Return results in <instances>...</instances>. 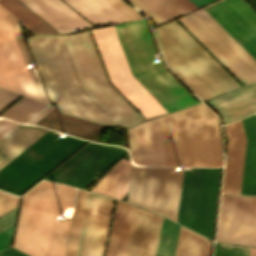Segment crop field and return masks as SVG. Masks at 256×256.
<instances>
[{
    "instance_id": "obj_37",
    "label": "crop field",
    "mask_w": 256,
    "mask_h": 256,
    "mask_svg": "<svg viewBox=\"0 0 256 256\" xmlns=\"http://www.w3.org/2000/svg\"><path fill=\"white\" fill-rule=\"evenodd\" d=\"M210 52H212L244 85L249 82L184 18L178 19Z\"/></svg>"
},
{
    "instance_id": "obj_31",
    "label": "crop field",
    "mask_w": 256,
    "mask_h": 256,
    "mask_svg": "<svg viewBox=\"0 0 256 256\" xmlns=\"http://www.w3.org/2000/svg\"><path fill=\"white\" fill-rule=\"evenodd\" d=\"M0 5L33 32L57 33L18 0H0Z\"/></svg>"
},
{
    "instance_id": "obj_50",
    "label": "crop field",
    "mask_w": 256,
    "mask_h": 256,
    "mask_svg": "<svg viewBox=\"0 0 256 256\" xmlns=\"http://www.w3.org/2000/svg\"><path fill=\"white\" fill-rule=\"evenodd\" d=\"M250 256H256V249L252 248Z\"/></svg>"
},
{
    "instance_id": "obj_8",
    "label": "crop field",
    "mask_w": 256,
    "mask_h": 256,
    "mask_svg": "<svg viewBox=\"0 0 256 256\" xmlns=\"http://www.w3.org/2000/svg\"><path fill=\"white\" fill-rule=\"evenodd\" d=\"M94 38L112 83L146 117L166 113L132 76L114 27L93 30Z\"/></svg>"
},
{
    "instance_id": "obj_44",
    "label": "crop field",
    "mask_w": 256,
    "mask_h": 256,
    "mask_svg": "<svg viewBox=\"0 0 256 256\" xmlns=\"http://www.w3.org/2000/svg\"><path fill=\"white\" fill-rule=\"evenodd\" d=\"M16 209L17 208L0 217V232L14 225Z\"/></svg>"
},
{
    "instance_id": "obj_34",
    "label": "crop field",
    "mask_w": 256,
    "mask_h": 256,
    "mask_svg": "<svg viewBox=\"0 0 256 256\" xmlns=\"http://www.w3.org/2000/svg\"><path fill=\"white\" fill-rule=\"evenodd\" d=\"M45 106L44 103L24 96L1 116L19 122H27Z\"/></svg>"
},
{
    "instance_id": "obj_2",
    "label": "crop field",
    "mask_w": 256,
    "mask_h": 256,
    "mask_svg": "<svg viewBox=\"0 0 256 256\" xmlns=\"http://www.w3.org/2000/svg\"><path fill=\"white\" fill-rule=\"evenodd\" d=\"M27 40L49 96L62 112L114 125L81 91L59 35L34 34Z\"/></svg>"
},
{
    "instance_id": "obj_38",
    "label": "crop field",
    "mask_w": 256,
    "mask_h": 256,
    "mask_svg": "<svg viewBox=\"0 0 256 256\" xmlns=\"http://www.w3.org/2000/svg\"><path fill=\"white\" fill-rule=\"evenodd\" d=\"M6 14H7V13H6ZM7 17H8V19H9V22H10V24H11V27H12V29H13V32H14V34H15V37H16V39H17V42H18V44H19V47H20V49H21V52H22V54H23V57H24V59H25V62H26V64H27V67H28V65H31V64H33V63H32V61H31V58H30V55H29L28 50H27V48H26L25 42H24L23 37H22V35H21V32H20V30H19L18 24H17L16 20L13 19L9 14H7ZM28 69H29V67H28ZM29 72H30V69H29ZM30 74H31V72H30ZM31 77H32V79H33V82H34V84H35V87H36V89H37V92H38V94H39L40 99H41L42 101L46 102V99H45V97H44V94H43V91H42V89H41V86H40V83H39V81H38V78H37L36 76H33V75H31ZM46 103H47V102H46Z\"/></svg>"
},
{
    "instance_id": "obj_41",
    "label": "crop field",
    "mask_w": 256,
    "mask_h": 256,
    "mask_svg": "<svg viewBox=\"0 0 256 256\" xmlns=\"http://www.w3.org/2000/svg\"><path fill=\"white\" fill-rule=\"evenodd\" d=\"M117 9L124 13L131 20L142 18L135 10H133L129 5H127L123 0H108Z\"/></svg>"
},
{
    "instance_id": "obj_12",
    "label": "crop field",
    "mask_w": 256,
    "mask_h": 256,
    "mask_svg": "<svg viewBox=\"0 0 256 256\" xmlns=\"http://www.w3.org/2000/svg\"><path fill=\"white\" fill-rule=\"evenodd\" d=\"M113 202L87 192L75 256H103Z\"/></svg>"
},
{
    "instance_id": "obj_39",
    "label": "crop field",
    "mask_w": 256,
    "mask_h": 256,
    "mask_svg": "<svg viewBox=\"0 0 256 256\" xmlns=\"http://www.w3.org/2000/svg\"><path fill=\"white\" fill-rule=\"evenodd\" d=\"M251 248L216 242L214 256H249Z\"/></svg>"
},
{
    "instance_id": "obj_16",
    "label": "crop field",
    "mask_w": 256,
    "mask_h": 256,
    "mask_svg": "<svg viewBox=\"0 0 256 256\" xmlns=\"http://www.w3.org/2000/svg\"><path fill=\"white\" fill-rule=\"evenodd\" d=\"M144 62L147 72L181 107H187L197 102L181 87V85L156 63L153 53H158L144 19L128 23Z\"/></svg>"
},
{
    "instance_id": "obj_20",
    "label": "crop field",
    "mask_w": 256,
    "mask_h": 256,
    "mask_svg": "<svg viewBox=\"0 0 256 256\" xmlns=\"http://www.w3.org/2000/svg\"><path fill=\"white\" fill-rule=\"evenodd\" d=\"M160 121L166 166H190L182 110Z\"/></svg>"
},
{
    "instance_id": "obj_17",
    "label": "crop field",
    "mask_w": 256,
    "mask_h": 256,
    "mask_svg": "<svg viewBox=\"0 0 256 256\" xmlns=\"http://www.w3.org/2000/svg\"><path fill=\"white\" fill-rule=\"evenodd\" d=\"M131 158L145 166H165L159 117L128 130Z\"/></svg>"
},
{
    "instance_id": "obj_26",
    "label": "crop field",
    "mask_w": 256,
    "mask_h": 256,
    "mask_svg": "<svg viewBox=\"0 0 256 256\" xmlns=\"http://www.w3.org/2000/svg\"><path fill=\"white\" fill-rule=\"evenodd\" d=\"M96 27L130 21L106 0H64Z\"/></svg>"
},
{
    "instance_id": "obj_35",
    "label": "crop field",
    "mask_w": 256,
    "mask_h": 256,
    "mask_svg": "<svg viewBox=\"0 0 256 256\" xmlns=\"http://www.w3.org/2000/svg\"><path fill=\"white\" fill-rule=\"evenodd\" d=\"M165 21L183 14L187 9L178 0H140ZM163 20V21H164Z\"/></svg>"
},
{
    "instance_id": "obj_49",
    "label": "crop field",
    "mask_w": 256,
    "mask_h": 256,
    "mask_svg": "<svg viewBox=\"0 0 256 256\" xmlns=\"http://www.w3.org/2000/svg\"><path fill=\"white\" fill-rule=\"evenodd\" d=\"M195 5H197L198 7L208 3V2H211L213 0H191Z\"/></svg>"
},
{
    "instance_id": "obj_42",
    "label": "crop field",
    "mask_w": 256,
    "mask_h": 256,
    "mask_svg": "<svg viewBox=\"0 0 256 256\" xmlns=\"http://www.w3.org/2000/svg\"><path fill=\"white\" fill-rule=\"evenodd\" d=\"M133 5H135L139 10H141L144 14H146L150 19H152L157 25L165 22L159 16H157L153 11H151L148 7H146L139 0H128Z\"/></svg>"
},
{
    "instance_id": "obj_30",
    "label": "crop field",
    "mask_w": 256,
    "mask_h": 256,
    "mask_svg": "<svg viewBox=\"0 0 256 256\" xmlns=\"http://www.w3.org/2000/svg\"><path fill=\"white\" fill-rule=\"evenodd\" d=\"M212 243L181 227L175 256H209Z\"/></svg>"
},
{
    "instance_id": "obj_33",
    "label": "crop field",
    "mask_w": 256,
    "mask_h": 256,
    "mask_svg": "<svg viewBox=\"0 0 256 256\" xmlns=\"http://www.w3.org/2000/svg\"><path fill=\"white\" fill-rule=\"evenodd\" d=\"M180 226L163 218L156 256H174Z\"/></svg>"
},
{
    "instance_id": "obj_24",
    "label": "crop field",
    "mask_w": 256,
    "mask_h": 256,
    "mask_svg": "<svg viewBox=\"0 0 256 256\" xmlns=\"http://www.w3.org/2000/svg\"><path fill=\"white\" fill-rule=\"evenodd\" d=\"M36 124L96 142L99 141L103 127L63 115L56 108L36 122Z\"/></svg>"
},
{
    "instance_id": "obj_11",
    "label": "crop field",
    "mask_w": 256,
    "mask_h": 256,
    "mask_svg": "<svg viewBox=\"0 0 256 256\" xmlns=\"http://www.w3.org/2000/svg\"><path fill=\"white\" fill-rule=\"evenodd\" d=\"M216 240L256 246V198L222 194Z\"/></svg>"
},
{
    "instance_id": "obj_40",
    "label": "crop field",
    "mask_w": 256,
    "mask_h": 256,
    "mask_svg": "<svg viewBox=\"0 0 256 256\" xmlns=\"http://www.w3.org/2000/svg\"><path fill=\"white\" fill-rule=\"evenodd\" d=\"M18 197L0 192V215L17 206Z\"/></svg>"
},
{
    "instance_id": "obj_21",
    "label": "crop field",
    "mask_w": 256,
    "mask_h": 256,
    "mask_svg": "<svg viewBox=\"0 0 256 256\" xmlns=\"http://www.w3.org/2000/svg\"><path fill=\"white\" fill-rule=\"evenodd\" d=\"M225 129L228 146L222 192L240 193L246 138L241 121Z\"/></svg>"
},
{
    "instance_id": "obj_48",
    "label": "crop field",
    "mask_w": 256,
    "mask_h": 256,
    "mask_svg": "<svg viewBox=\"0 0 256 256\" xmlns=\"http://www.w3.org/2000/svg\"><path fill=\"white\" fill-rule=\"evenodd\" d=\"M181 3H183L187 8L190 10L197 8L191 1L189 0H179Z\"/></svg>"
},
{
    "instance_id": "obj_13",
    "label": "crop field",
    "mask_w": 256,
    "mask_h": 256,
    "mask_svg": "<svg viewBox=\"0 0 256 256\" xmlns=\"http://www.w3.org/2000/svg\"><path fill=\"white\" fill-rule=\"evenodd\" d=\"M0 86L39 99L6 14L1 8Z\"/></svg>"
},
{
    "instance_id": "obj_25",
    "label": "crop field",
    "mask_w": 256,
    "mask_h": 256,
    "mask_svg": "<svg viewBox=\"0 0 256 256\" xmlns=\"http://www.w3.org/2000/svg\"><path fill=\"white\" fill-rule=\"evenodd\" d=\"M48 129L18 124L0 138V168L34 142Z\"/></svg>"
},
{
    "instance_id": "obj_22",
    "label": "crop field",
    "mask_w": 256,
    "mask_h": 256,
    "mask_svg": "<svg viewBox=\"0 0 256 256\" xmlns=\"http://www.w3.org/2000/svg\"><path fill=\"white\" fill-rule=\"evenodd\" d=\"M130 46L131 52L137 64L140 74L149 82V84L166 100V102L174 109H180V107L172 100V98L155 82V80L146 72L140 55L138 53L137 47L126 24L121 25ZM120 25L114 26L119 37L120 43L124 50L125 56L127 58L128 64L130 66L133 76L142 84V86L159 102V104L167 111H173V109L165 102V100L148 84V82L139 74L132 54L130 52L129 46L123 34Z\"/></svg>"
},
{
    "instance_id": "obj_28",
    "label": "crop field",
    "mask_w": 256,
    "mask_h": 256,
    "mask_svg": "<svg viewBox=\"0 0 256 256\" xmlns=\"http://www.w3.org/2000/svg\"><path fill=\"white\" fill-rule=\"evenodd\" d=\"M129 171L130 163L120 159L93 191L121 199L127 192Z\"/></svg>"
},
{
    "instance_id": "obj_47",
    "label": "crop field",
    "mask_w": 256,
    "mask_h": 256,
    "mask_svg": "<svg viewBox=\"0 0 256 256\" xmlns=\"http://www.w3.org/2000/svg\"><path fill=\"white\" fill-rule=\"evenodd\" d=\"M54 108H55L54 106L49 105L45 110H43L40 114H38L35 118H33L28 123H35L36 121H38L40 118H42L44 115H46L48 112H50Z\"/></svg>"
},
{
    "instance_id": "obj_18",
    "label": "crop field",
    "mask_w": 256,
    "mask_h": 256,
    "mask_svg": "<svg viewBox=\"0 0 256 256\" xmlns=\"http://www.w3.org/2000/svg\"><path fill=\"white\" fill-rule=\"evenodd\" d=\"M161 29L225 92L239 85L175 22Z\"/></svg>"
},
{
    "instance_id": "obj_9",
    "label": "crop field",
    "mask_w": 256,
    "mask_h": 256,
    "mask_svg": "<svg viewBox=\"0 0 256 256\" xmlns=\"http://www.w3.org/2000/svg\"><path fill=\"white\" fill-rule=\"evenodd\" d=\"M126 152L90 142L46 178L83 188Z\"/></svg>"
},
{
    "instance_id": "obj_4",
    "label": "crop field",
    "mask_w": 256,
    "mask_h": 256,
    "mask_svg": "<svg viewBox=\"0 0 256 256\" xmlns=\"http://www.w3.org/2000/svg\"><path fill=\"white\" fill-rule=\"evenodd\" d=\"M85 142L46 132L0 169V189L20 195Z\"/></svg>"
},
{
    "instance_id": "obj_10",
    "label": "crop field",
    "mask_w": 256,
    "mask_h": 256,
    "mask_svg": "<svg viewBox=\"0 0 256 256\" xmlns=\"http://www.w3.org/2000/svg\"><path fill=\"white\" fill-rule=\"evenodd\" d=\"M191 166H212L207 118H217L203 104L183 110ZM213 166H221L222 157L217 120L208 119Z\"/></svg>"
},
{
    "instance_id": "obj_32",
    "label": "crop field",
    "mask_w": 256,
    "mask_h": 256,
    "mask_svg": "<svg viewBox=\"0 0 256 256\" xmlns=\"http://www.w3.org/2000/svg\"><path fill=\"white\" fill-rule=\"evenodd\" d=\"M195 14L256 74V61L239 46L203 9Z\"/></svg>"
},
{
    "instance_id": "obj_46",
    "label": "crop field",
    "mask_w": 256,
    "mask_h": 256,
    "mask_svg": "<svg viewBox=\"0 0 256 256\" xmlns=\"http://www.w3.org/2000/svg\"><path fill=\"white\" fill-rule=\"evenodd\" d=\"M0 256H27L13 248H9L5 251H3L2 253H0Z\"/></svg>"
},
{
    "instance_id": "obj_1",
    "label": "crop field",
    "mask_w": 256,
    "mask_h": 256,
    "mask_svg": "<svg viewBox=\"0 0 256 256\" xmlns=\"http://www.w3.org/2000/svg\"><path fill=\"white\" fill-rule=\"evenodd\" d=\"M75 189L41 181L23 195L14 247L31 256H64L71 220L59 221Z\"/></svg>"
},
{
    "instance_id": "obj_6",
    "label": "crop field",
    "mask_w": 256,
    "mask_h": 256,
    "mask_svg": "<svg viewBox=\"0 0 256 256\" xmlns=\"http://www.w3.org/2000/svg\"><path fill=\"white\" fill-rule=\"evenodd\" d=\"M219 172L220 168L185 171L177 219L178 223L210 238L213 235Z\"/></svg>"
},
{
    "instance_id": "obj_3",
    "label": "crop field",
    "mask_w": 256,
    "mask_h": 256,
    "mask_svg": "<svg viewBox=\"0 0 256 256\" xmlns=\"http://www.w3.org/2000/svg\"><path fill=\"white\" fill-rule=\"evenodd\" d=\"M83 91L116 124L143 120L108 83L88 32L61 35Z\"/></svg>"
},
{
    "instance_id": "obj_14",
    "label": "crop field",
    "mask_w": 256,
    "mask_h": 256,
    "mask_svg": "<svg viewBox=\"0 0 256 256\" xmlns=\"http://www.w3.org/2000/svg\"><path fill=\"white\" fill-rule=\"evenodd\" d=\"M167 65L204 101L224 91L160 28L154 30Z\"/></svg>"
},
{
    "instance_id": "obj_15",
    "label": "crop field",
    "mask_w": 256,
    "mask_h": 256,
    "mask_svg": "<svg viewBox=\"0 0 256 256\" xmlns=\"http://www.w3.org/2000/svg\"><path fill=\"white\" fill-rule=\"evenodd\" d=\"M229 1L256 26V15L241 0ZM229 1H220L204 10L256 60V27Z\"/></svg>"
},
{
    "instance_id": "obj_43",
    "label": "crop field",
    "mask_w": 256,
    "mask_h": 256,
    "mask_svg": "<svg viewBox=\"0 0 256 256\" xmlns=\"http://www.w3.org/2000/svg\"><path fill=\"white\" fill-rule=\"evenodd\" d=\"M18 97H20V95L0 89V112Z\"/></svg>"
},
{
    "instance_id": "obj_23",
    "label": "crop field",
    "mask_w": 256,
    "mask_h": 256,
    "mask_svg": "<svg viewBox=\"0 0 256 256\" xmlns=\"http://www.w3.org/2000/svg\"><path fill=\"white\" fill-rule=\"evenodd\" d=\"M208 102L227 123L256 111V84L234 90Z\"/></svg>"
},
{
    "instance_id": "obj_7",
    "label": "crop field",
    "mask_w": 256,
    "mask_h": 256,
    "mask_svg": "<svg viewBox=\"0 0 256 256\" xmlns=\"http://www.w3.org/2000/svg\"><path fill=\"white\" fill-rule=\"evenodd\" d=\"M184 171L132 167L128 201L176 221Z\"/></svg>"
},
{
    "instance_id": "obj_36",
    "label": "crop field",
    "mask_w": 256,
    "mask_h": 256,
    "mask_svg": "<svg viewBox=\"0 0 256 256\" xmlns=\"http://www.w3.org/2000/svg\"><path fill=\"white\" fill-rule=\"evenodd\" d=\"M85 194V191L79 189L65 256L74 255Z\"/></svg>"
},
{
    "instance_id": "obj_5",
    "label": "crop field",
    "mask_w": 256,
    "mask_h": 256,
    "mask_svg": "<svg viewBox=\"0 0 256 256\" xmlns=\"http://www.w3.org/2000/svg\"><path fill=\"white\" fill-rule=\"evenodd\" d=\"M135 209L117 200L106 256H126ZM161 219L137 207L127 256H155Z\"/></svg>"
},
{
    "instance_id": "obj_29",
    "label": "crop field",
    "mask_w": 256,
    "mask_h": 256,
    "mask_svg": "<svg viewBox=\"0 0 256 256\" xmlns=\"http://www.w3.org/2000/svg\"><path fill=\"white\" fill-rule=\"evenodd\" d=\"M185 18L250 82H256V75L226 47L193 13Z\"/></svg>"
},
{
    "instance_id": "obj_45",
    "label": "crop field",
    "mask_w": 256,
    "mask_h": 256,
    "mask_svg": "<svg viewBox=\"0 0 256 256\" xmlns=\"http://www.w3.org/2000/svg\"><path fill=\"white\" fill-rule=\"evenodd\" d=\"M13 226L0 233V250L4 249L11 238Z\"/></svg>"
},
{
    "instance_id": "obj_19",
    "label": "crop field",
    "mask_w": 256,
    "mask_h": 256,
    "mask_svg": "<svg viewBox=\"0 0 256 256\" xmlns=\"http://www.w3.org/2000/svg\"><path fill=\"white\" fill-rule=\"evenodd\" d=\"M59 33L92 28L61 0H20Z\"/></svg>"
},
{
    "instance_id": "obj_27",
    "label": "crop field",
    "mask_w": 256,
    "mask_h": 256,
    "mask_svg": "<svg viewBox=\"0 0 256 256\" xmlns=\"http://www.w3.org/2000/svg\"><path fill=\"white\" fill-rule=\"evenodd\" d=\"M246 138V154L241 194L256 195V114L242 120Z\"/></svg>"
}]
</instances>
